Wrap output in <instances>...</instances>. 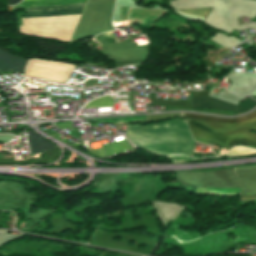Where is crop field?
I'll return each instance as SVG.
<instances>
[{
    "label": "crop field",
    "instance_id": "8a807250",
    "mask_svg": "<svg viewBox=\"0 0 256 256\" xmlns=\"http://www.w3.org/2000/svg\"><path fill=\"white\" fill-rule=\"evenodd\" d=\"M86 0H41V1H28L22 2L13 8L80 3ZM85 3L32 7L26 8V11L33 10H47V9H62V8H76L84 7ZM83 8L76 9H62V10H47V11H33L26 12L25 17L32 16H49V15H67V14H81ZM80 15L72 16H53V17H34L22 18V29L20 31L40 37L57 39L70 43V37L79 20Z\"/></svg>",
    "mask_w": 256,
    "mask_h": 256
},
{
    "label": "crop field",
    "instance_id": "ac0d7876",
    "mask_svg": "<svg viewBox=\"0 0 256 256\" xmlns=\"http://www.w3.org/2000/svg\"><path fill=\"white\" fill-rule=\"evenodd\" d=\"M127 138L136 146L155 154H190L193 139L183 119L153 125H127Z\"/></svg>",
    "mask_w": 256,
    "mask_h": 256
},
{
    "label": "crop field",
    "instance_id": "34b2d1b8",
    "mask_svg": "<svg viewBox=\"0 0 256 256\" xmlns=\"http://www.w3.org/2000/svg\"><path fill=\"white\" fill-rule=\"evenodd\" d=\"M188 125L192 131L193 138L197 141L207 143L211 140L229 148L236 144H245L256 149V133H249V131L256 129V125L240 127L223 133L209 132L191 123H188Z\"/></svg>",
    "mask_w": 256,
    "mask_h": 256
},
{
    "label": "crop field",
    "instance_id": "412701ff",
    "mask_svg": "<svg viewBox=\"0 0 256 256\" xmlns=\"http://www.w3.org/2000/svg\"><path fill=\"white\" fill-rule=\"evenodd\" d=\"M188 120L213 131L223 132L241 125L256 123V111L242 118L221 119L194 114H183Z\"/></svg>",
    "mask_w": 256,
    "mask_h": 256
},
{
    "label": "crop field",
    "instance_id": "f4fd0767",
    "mask_svg": "<svg viewBox=\"0 0 256 256\" xmlns=\"http://www.w3.org/2000/svg\"><path fill=\"white\" fill-rule=\"evenodd\" d=\"M256 105L255 101L250 99L243 101L239 106L225 103L219 99L210 97L193 98V108H213L229 111L245 112Z\"/></svg>",
    "mask_w": 256,
    "mask_h": 256
},
{
    "label": "crop field",
    "instance_id": "dd49c442",
    "mask_svg": "<svg viewBox=\"0 0 256 256\" xmlns=\"http://www.w3.org/2000/svg\"><path fill=\"white\" fill-rule=\"evenodd\" d=\"M26 62L24 59L0 51V72L14 71L23 74Z\"/></svg>",
    "mask_w": 256,
    "mask_h": 256
},
{
    "label": "crop field",
    "instance_id": "e52e79f7",
    "mask_svg": "<svg viewBox=\"0 0 256 256\" xmlns=\"http://www.w3.org/2000/svg\"><path fill=\"white\" fill-rule=\"evenodd\" d=\"M29 135L30 138H27V140L31 156L55 147L49 141L39 137L32 130H29Z\"/></svg>",
    "mask_w": 256,
    "mask_h": 256
},
{
    "label": "crop field",
    "instance_id": "d8731c3e",
    "mask_svg": "<svg viewBox=\"0 0 256 256\" xmlns=\"http://www.w3.org/2000/svg\"><path fill=\"white\" fill-rule=\"evenodd\" d=\"M146 115L129 116V117H117V118H106V119H95V121H102L108 123H126L130 121L145 119Z\"/></svg>",
    "mask_w": 256,
    "mask_h": 256
},
{
    "label": "crop field",
    "instance_id": "5a996713",
    "mask_svg": "<svg viewBox=\"0 0 256 256\" xmlns=\"http://www.w3.org/2000/svg\"><path fill=\"white\" fill-rule=\"evenodd\" d=\"M114 99L104 96L100 97L90 103H88L84 108H95V107H107L113 106Z\"/></svg>",
    "mask_w": 256,
    "mask_h": 256
},
{
    "label": "crop field",
    "instance_id": "3316defc",
    "mask_svg": "<svg viewBox=\"0 0 256 256\" xmlns=\"http://www.w3.org/2000/svg\"><path fill=\"white\" fill-rule=\"evenodd\" d=\"M251 153H256L255 150L243 148V147H236L229 151L226 156H240V155H246V154H251Z\"/></svg>",
    "mask_w": 256,
    "mask_h": 256
},
{
    "label": "crop field",
    "instance_id": "28ad6ade",
    "mask_svg": "<svg viewBox=\"0 0 256 256\" xmlns=\"http://www.w3.org/2000/svg\"><path fill=\"white\" fill-rule=\"evenodd\" d=\"M7 1H8V6H10V5H14V4L18 3L21 0H7Z\"/></svg>",
    "mask_w": 256,
    "mask_h": 256
},
{
    "label": "crop field",
    "instance_id": "d1516ede",
    "mask_svg": "<svg viewBox=\"0 0 256 256\" xmlns=\"http://www.w3.org/2000/svg\"><path fill=\"white\" fill-rule=\"evenodd\" d=\"M135 1V3H138V2H140V1H142V0H134Z\"/></svg>",
    "mask_w": 256,
    "mask_h": 256
},
{
    "label": "crop field",
    "instance_id": "22f410ed",
    "mask_svg": "<svg viewBox=\"0 0 256 256\" xmlns=\"http://www.w3.org/2000/svg\"><path fill=\"white\" fill-rule=\"evenodd\" d=\"M233 74V73H232Z\"/></svg>",
    "mask_w": 256,
    "mask_h": 256
}]
</instances>
